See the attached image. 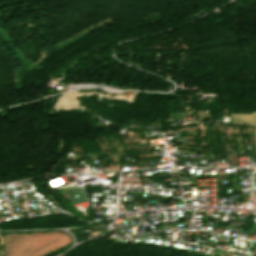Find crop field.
<instances>
[{
  "instance_id": "8a807250",
  "label": "crop field",
  "mask_w": 256,
  "mask_h": 256,
  "mask_svg": "<svg viewBox=\"0 0 256 256\" xmlns=\"http://www.w3.org/2000/svg\"><path fill=\"white\" fill-rule=\"evenodd\" d=\"M243 114H231L230 122L231 123H242ZM243 123H252L256 124V112L251 114H244Z\"/></svg>"
},
{
  "instance_id": "ac0d7876",
  "label": "crop field",
  "mask_w": 256,
  "mask_h": 256,
  "mask_svg": "<svg viewBox=\"0 0 256 256\" xmlns=\"http://www.w3.org/2000/svg\"><path fill=\"white\" fill-rule=\"evenodd\" d=\"M254 140H255V145H256V127L254 126Z\"/></svg>"
}]
</instances>
